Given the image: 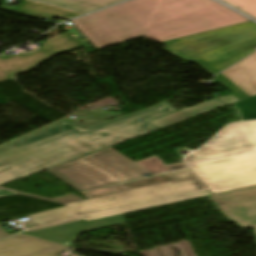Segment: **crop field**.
<instances>
[{
    "label": "crop field",
    "instance_id": "crop-field-9",
    "mask_svg": "<svg viewBox=\"0 0 256 256\" xmlns=\"http://www.w3.org/2000/svg\"><path fill=\"white\" fill-rule=\"evenodd\" d=\"M123 222L124 220L121 215L89 222L81 220L69 224H64L52 228L27 233V235L47 239L50 241L70 246L80 232L110 226L114 224H119Z\"/></svg>",
    "mask_w": 256,
    "mask_h": 256
},
{
    "label": "crop field",
    "instance_id": "crop-field-24",
    "mask_svg": "<svg viewBox=\"0 0 256 256\" xmlns=\"http://www.w3.org/2000/svg\"><path fill=\"white\" fill-rule=\"evenodd\" d=\"M16 234V233H15ZM15 234H11V235H15ZM5 236H9L0 226V238L5 237ZM6 238V237H5Z\"/></svg>",
    "mask_w": 256,
    "mask_h": 256
},
{
    "label": "crop field",
    "instance_id": "crop-field-22",
    "mask_svg": "<svg viewBox=\"0 0 256 256\" xmlns=\"http://www.w3.org/2000/svg\"><path fill=\"white\" fill-rule=\"evenodd\" d=\"M80 1H85V2H89V3L106 6V5H109V4L118 2V1H122V0H80Z\"/></svg>",
    "mask_w": 256,
    "mask_h": 256
},
{
    "label": "crop field",
    "instance_id": "crop-field-20",
    "mask_svg": "<svg viewBox=\"0 0 256 256\" xmlns=\"http://www.w3.org/2000/svg\"><path fill=\"white\" fill-rule=\"evenodd\" d=\"M256 19V0H221Z\"/></svg>",
    "mask_w": 256,
    "mask_h": 256
},
{
    "label": "crop field",
    "instance_id": "crop-field-14",
    "mask_svg": "<svg viewBox=\"0 0 256 256\" xmlns=\"http://www.w3.org/2000/svg\"><path fill=\"white\" fill-rule=\"evenodd\" d=\"M217 99V98H216ZM212 100L210 102L197 105L188 109H183L174 113H171L169 115L157 118L155 120L149 121L150 123L154 124L155 126L161 128L197 115H200L202 113L208 112L210 110L219 108L221 106H224V104L218 100Z\"/></svg>",
    "mask_w": 256,
    "mask_h": 256
},
{
    "label": "crop field",
    "instance_id": "crop-field-8",
    "mask_svg": "<svg viewBox=\"0 0 256 256\" xmlns=\"http://www.w3.org/2000/svg\"><path fill=\"white\" fill-rule=\"evenodd\" d=\"M217 79L239 100L256 95V52L221 72Z\"/></svg>",
    "mask_w": 256,
    "mask_h": 256
},
{
    "label": "crop field",
    "instance_id": "crop-field-15",
    "mask_svg": "<svg viewBox=\"0 0 256 256\" xmlns=\"http://www.w3.org/2000/svg\"><path fill=\"white\" fill-rule=\"evenodd\" d=\"M222 214L242 228L253 229L256 238V205L223 212Z\"/></svg>",
    "mask_w": 256,
    "mask_h": 256
},
{
    "label": "crop field",
    "instance_id": "crop-field-21",
    "mask_svg": "<svg viewBox=\"0 0 256 256\" xmlns=\"http://www.w3.org/2000/svg\"><path fill=\"white\" fill-rule=\"evenodd\" d=\"M108 193H112V191H110L109 189H107L105 187H102V188L82 192L81 194L84 195L88 199V198H92V197H96V196H100V195H104V194H108Z\"/></svg>",
    "mask_w": 256,
    "mask_h": 256
},
{
    "label": "crop field",
    "instance_id": "crop-field-16",
    "mask_svg": "<svg viewBox=\"0 0 256 256\" xmlns=\"http://www.w3.org/2000/svg\"><path fill=\"white\" fill-rule=\"evenodd\" d=\"M171 180L172 179L167 174H164V175L134 180V181H130V182L120 183V184H116V185H111V186H107V188H109L110 190H112L114 192H118V191H123V190L132 189V188L157 184V183L171 181Z\"/></svg>",
    "mask_w": 256,
    "mask_h": 256
},
{
    "label": "crop field",
    "instance_id": "crop-field-4",
    "mask_svg": "<svg viewBox=\"0 0 256 256\" xmlns=\"http://www.w3.org/2000/svg\"><path fill=\"white\" fill-rule=\"evenodd\" d=\"M161 44L172 55L195 62L213 76L254 51L256 24L248 21Z\"/></svg>",
    "mask_w": 256,
    "mask_h": 256
},
{
    "label": "crop field",
    "instance_id": "crop-field-18",
    "mask_svg": "<svg viewBox=\"0 0 256 256\" xmlns=\"http://www.w3.org/2000/svg\"><path fill=\"white\" fill-rule=\"evenodd\" d=\"M234 106L242 121L256 119V96L238 101Z\"/></svg>",
    "mask_w": 256,
    "mask_h": 256
},
{
    "label": "crop field",
    "instance_id": "crop-field-11",
    "mask_svg": "<svg viewBox=\"0 0 256 256\" xmlns=\"http://www.w3.org/2000/svg\"><path fill=\"white\" fill-rule=\"evenodd\" d=\"M208 194H212V192L210 190H205V191H201V192H196V193H191V194H186V195H181V196H176V197H171V198H166V199H161V200H157V201H153V202H149V203H144V204H140V205H136V206H132V207L118 208V209H113V210H109V211L90 214V215L82 216V217H79V218H76V219H72V220H68V221H64V222H60V223H56V224H52V225H48V226H44V227H39V228H35V229L23 231V232L26 233V232H30V231H35V230H39V229H43V228H47V227H52V226H56V225H60V224H64V223H69V222H73V221H77V220H81V219L89 221V220H94V219H99V218L124 214V213H128V212H133V211H137V210H141V209L155 207V206H159V205H163V204H168V203L177 202V201H181V200H186V199L199 197V196H203V195H208Z\"/></svg>",
    "mask_w": 256,
    "mask_h": 256
},
{
    "label": "crop field",
    "instance_id": "crop-field-1",
    "mask_svg": "<svg viewBox=\"0 0 256 256\" xmlns=\"http://www.w3.org/2000/svg\"><path fill=\"white\" fill-rule=\"evenodd\" d=\"M174 111L164 102L85 130L71 121L51 124L0 147V185L156 130L147 121ZM15 195L0 190V197Z\"/></svg>",
    "mask_w": 256,
    "mask_h": 256
},
{
    "label": "crop field",
    "instance_id": "crop-field-12",
    "mask_svg": "<svg viewBox=\"0 0 256 256\" xmlns=\"http://www.w3.org/2000/svg\"><path fill=\"white\" fill-rule=\"evenodd\" d=\"M222 211L256 204V186L207 196Z\"/></svg>",
    "mask_w": 256,
    "mask_h": 256
},
{
    "label": "crop field",
    "instance_id": "crop-field-23",
    "mask_svg": "<svg viewBox=\"0 0 256 256\" xmlns=\"http://www.w3.org/2000/svg\"><path fill=\"white\" fill-rule=\"evenodd\" d=\"M220 100H222L225 104L229 105L233 102L238 101L235 97H233L232 95L229 97L223 96V97H219Z\"/></svg>",
    "mask_w": 256,
    "mask_h": 256
},
{
    "label": "crop field",
    "instance_id": "crop-field-13",
    "mask_svg": "<svg viewBox=\"0 0 256 256\" xmlns=\"http://www.w3.org/2000/svg\"><path fill=\"white\" fill-rule=\"evenodd\" d=\"M11 12L31 17L40 16L44 18H50L57 16L65 19L83 14L31 0H23V2L19 6L15 7Z\"/></svg>",
    "mask_w": 256,
    "mask_h": 256
},
{
    "label": "crop field",
    "instance_id": "crop-field-25",
    "mask_svg": "<svg viewBox=\"0 0 256 256\" xmlns=\"http://www.w3.org/2000/svg\"><path fill=\"white\" fill-rule=\"evenodd\" d=\"M152 39L157 40V41H162L159 37L152 38Z\"/></svg>",
    "mask_w": 256,
    "mask_h": 256
},
{
    "label": "crop field",
    "instance_id": "crop-field-17",
    "mask_svg": "<svg viewBox=\"0 0 256 256\" xmlns=\"http://www.w3.org/2000/svg\"><path fill=\"white\" fill-rule=\"evenodd\" d=\"M136 163L153 174L188 167L184 162L165 166L156 156Z\"/></svg>",
    "mask_w": 256,
    "mask_h": 256
},
{
    "label": "crop field",
    "instance_id": "crop-field-10",
    "mask_svg": "<svg viewBox=\"0 0 256 256\" xmlns=\"http://www.w3.org/2000/svg\"><path fill=\"white\" fill-rule=\"evenodd\" d=\"M67 247L26 235L0 241V256H58Z\"/></svg>",
    "mask_w": 256,
    "mask_h": 256
},
{
    "label": "crop field",
    "instance_id": "crop-field-7",
    "mask_svg": "<svg viewBox=\"0 0 256 256\" xmlns=\"http://www.w3.org/2000/svg\"><path fill=\"white\" fill-rule=\"evenodd\" d=\"M77 47H80V44L68 33H64L46 40L44 45L35 52L11 56L0 55V82L12 80L16 74L25 72L56 54Z\"/></svg>",
    "mask_w": 256,
    "mask_h": 256
},
{
    "label": "crop field",
    "instance_id": "crop-field-5",
    "mask_svg": "<svg viewBox=\"0 0 256 256\" xmlns=\"http://www.w3.org/2000/svg\"><path fill=\"white\" fill-rule=\"evenodd\" d=\"M174 181L113 193L89 200L66 204L67 206L27 216L22 222L27 228L75 216L129 206L178 194L207 188L191 169L168 174Z\"/></svg>",
    "mask_w": 256,
    "mask_h": 256
},
{
    "label": "crop field",
    "instance_id": "crop-field-2",
    "mask_svg": "<svg viewBox=\"0 0 256 256\" xmlns=\"http://www.w3.org/2000/svg\"><path fill=\"white\" fill-rule=\"evenodd\" d=\"M243 21L212 0H131L72 22L101 49L139 35L167 41Z\"/></svg>",
    "mask_w": 256,
    "mask_h": 256
},
{
    "label": "crop field",
    "instance_id": "crop-field-6",
    "mask_svg": "<svg viewBox=\"0 0 256 256\" xmlns=\"http://www.w3.org/2000/svg\"><path fill=\"white\" fill-rule=\"evenodd\" d=\"M79 192L143 178L150 173L107 148L47 169Z\"/></svg>",
    "mask_w": 256,
    "mask_h": 256
},
{
    "label": "crop field",
    "instance_id": "crop-field-3",
    "mask_svg": "<svg viewBox=\"0 0 256 256\" xmlns=\"http://www.w3.org/2000/svg\"><path fill=\"white\" fill-rule=\"evenodd\" d=\"M185 162L213 194L256 185V121L229 125Z\"/></svg>",
    "mask_w": 256,
    "mask_h": 256
},
{
    "label": "crop field",
    "instance_id": "crop-field-19",
    "mask_svg": "<svg viewBox=\"0 0 256 256\" xmlns=\"http://www.w3.org/2000/svg\"><path fill=\"white\" fill-rule=\"evenodd\" d=\"M40 1L64 6L67 8H71V9H75V10H79V11H83V12H89V11H93V10H96L99 8H103L102 6L93 5V4H89V3H85V2H80V1H76V0H40Z\"/></svg>",
    "mask_w": 256,
    "mask_h": 256
}]
</instances>
